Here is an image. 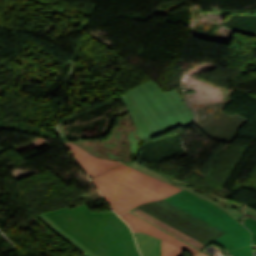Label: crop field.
Listing matches in <instances>:
<instances>
[{"mask_svg": "<svg viewBox=\"0 0 256 256\" xmlns=\"http://www.w3.org/2000/svg\"><path fill=\"white\" fill-rule=\"evenodd\" d=\"M104 141L98 143L97 140L86 139L71 142L100 158L122 162L131 159L122 126L115 127L112 135Z\"/></svg>", "mask_w": 256, "mask_h": 256, "instance_id": "crop-field-7", "label": "crop field"}, {"mask_svg": "<svg viewBox=\"0 0 256 256\" xmlns=\"http://www.w3.org/2000/svg\"><path fill=\"white\" fill-rule=\"evenodd\" d=\"M244 225L250 229L253 235L256 236V220L249 217H244Z\"/></svg>", "mask_w": 256, "mask_h": 256, "instance_id": "crop-field-10", "label": "crop field"}, {"mask_svg": "<svg viewBox=\"0 0 256 256\" xmlns=\"http://www.w3.org/2000/svg\"><path fill=\"white\" fill-rule=\"evenodd\" d=\"M245 215L256 219V210H254L253 208H251L248 205H245Z\"/></svg>", "mask_w": 256, "mask_h": 256, "instance_id": "crop-field-11", "label": "crop field"}, {"mask_svg": "<svg viewBox=\"0 0 256 256\" xmlns=\"http://www.w3.org/2000/svg\"><path fill=\"white\" fill-rule=\"evenodd\" d=\"M124 130H125V134L127 135L130 130H135V129H124Z\"/></svg>", "mask_w": 256, "mask_h": 256, "instance_id": "crop-field-14", "label": "crop field"}, {"mask_svg": "<svg viewBox=\"0 0 256 256\" xmlns=\"http://www.w3.org/2000/svg\"><path fill=\"white\" fill-rule=\"evenodd\" d=\"M121 218L128 223L133 232L142 231L162 239V256H182L184 251L195 256L206 247L136 208L123 214Z\"/></svg>", "mask_w": 256, "mask_h": 256, "instance_id": "crop-field-5", "label": "crop field"}, {"mask_svg": "<svg viewBox=\"0 0 256 256\" xmlns=\"http://www.w3.org/2000/svg\"><path fill=\"white\" fill-rule=\"evenodd\" d=\"M143 256H161V240L142 232L134 233Z\"/></svg>", "mask_w": 256, "mask_h": 256, "instance_id": "crop-field-9", "label": "crop field"}, {"mask_svg": "<svg viewBox=\"0 0 256 256\" xmlns=\"http://www.w3.org/2000/svg\"><path fill=\"white\" fill-rule=\"evenodd\" d=\"M37 217L86 256H140L130 228L113 212H92L85 204Z\"/></svg>", "mask_w": 256, "mask_h": 256, "instance_id": "crop-field-2", "label": "crop field"}, {"mask_svg": "<svg viewBox=\"0 0 256 256\" xmlns=\"http://www.w3.org/2000/svg\"><path fill=\"white\" fill-rule=\"evenodd\" d=\"M123 96L136 127L126 136L132 159L139 155L140 144L173 128H184L194 119L176 90L164 92L152 79L131 88Z\"/></svg>", "mask_w": 256, "mask_h": 256, "instance_id": "crop-field-3", "label": "crop field"}, {"mask_svg": "<svg viewBox=\"0 0 256 256\" xmlns=\"http://www.w3.org/2000/svg\"><path fill=\"white\" fill-rule=\"evenodd\" d=\"M125 164V163H124ZM127 165V164H126ZM130 167H133L139 171H142L148 175H151L155 178H158L164 182H167L173 186H176L180 189H187L193 193H195L197 196L207 199L210 202L218 205L220 208H222L224 211H226L228 214H230L232 217H234L236 220H238L240 223H242V216H243V204H235L227 199L218 198L214 195H211L205 191L199 190L197 188H191L186 182L175 180L171 178L170 176L160 172L153 166L141 161L137 160L134 163L128 165Z\"/></svg>", "mask_w": 256, "mask_h": 256, "instance_id": "crop-field-6", "label": "crop field"}, {"mask_svg": "<svg viewBox=\"0 0 256 256\" xmlns=\"http://www.w3.org/2000/svg\"><path fill=\"white\" fill-rule=\"evenodd\" d=\"M131 162H133V161H132V160H130V161H127L126 163H128V164H129V163H131Z\"/></svg>", "mask_w": 256, "mask_h": 256, "instance_id": "crop-field-15", "label": "crop field"}, {"mask_svg": "<svg viewBox=\"0 0 256 256\" xmlns=\"http://www.w3.org/2000/svg\"><path fill=\"white\" fill-rule=\"evenodd\" d=\"M93 182L119 215L147 201L169 197L180 189L121 164Z\"/></svg>", "mask_w": 256, "mask_h": 256, "instance_id": "crop-field-4", "label": "crop field"}, {"mask_svg": "<svg viewBox=\"0 0 256 256\" xmlns=\"http://www.w3.org/2000/svg\"><path fill=\"white\" fill-rule=\"evenodd\" d=\"M253 238V246L256 247V237L252 235ZM254 254L256 256V250L254 251Z\"/></svg>", "mask_w": 256, "mask_h": 256, "instance_id": "crop-field-12", "label": "crop field"}, {"mask_svg": "<svg viewBox=\"0 0 256 256\" xmlns=\"http://www.w3.org/2000/svg\"><path fill=\"white\" fill-rule=\"evenodd\" d=\"M137 208L206 246L215 241L226 247L232 256H253L250 231L216 205L189 191Z\"/></svg>", "mask_w": 256, "mask_h": 256, "instance_id": "crop-field-1", "label": "crop field"}, {"mask_svg": "<svg viewBox=\"0 0 256 256\" xmlns=\"http://www.w3.org/2000/svg\"><path fill=\"white\" fill-rule=\"evenodd\" d=\"M196 256H208V255L205 254V253L200 252V253H198Z\"/></svg>", "mask_w": 256, "mask_h": 256, "instance_id": "crop-field-13", "label": "crop field"}, {"mask_svg": "<svg viewBox=\"0 0 256 256\" xmlns=\"http://www.w3.org/2000/svg\"><path fill=\"white\" fill-rule=\"evenodd\" d=\"M64 144L90 178L122 163L97 158L71 142H64Z\"/></svg>", "mask_w": 256, "mask_h": 256, "instance_id": "crop-field-8", "label": "crop field"}]
</instances>
